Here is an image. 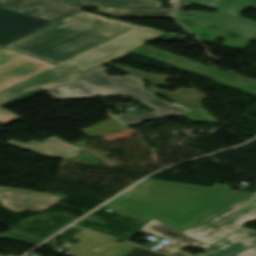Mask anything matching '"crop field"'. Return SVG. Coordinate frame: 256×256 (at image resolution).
Segmentation results:
<instances>
[{
  "label": "crop field",
  "instance_id": "1",
  "mask_svg": "<svg viewBox=\"0 0 256 256\" xmlns=\"http://www.w3.org/2000/svg\"><path fill=\"white\" fill-rule=\"evenodd\" d=\"M154 181V184L141 186L148 189L142 195L128 192L105 206L145 221L154 217L181 232L252 195H237L229 191L232 188L219 184L207 188Z\"/></svg>",
  "mask_w": 256,
  "mask_h": 256
},
{
  "label": "crop field",
  "instance_id": "17",
  "mask_svg": "<svg viewBox=\"0 0 256 256\" xmlns=\"http://www.w3.org/2000/svg\"><path fill=\"white\" fill-rule=\"evenodd\" d=\"M121 129H125V128L119 123H117L115 120L111 119V120L99 122L94 126L80 129V131H82L88 137L92 138V137L107 134V133L114 132Z\"/></svg>",
  "mask_w": 256,
  "mask_h": 256
},
{
  "label": "crop field",
  "instance_id": "5",
  "mask_svg": "<svg viewBox=\"0 0 256 256\" xmlns=\"http://www.w3.org/2000/svg\"><path fill=\"white\" fill-rule=\"evenodd\" d=\"M192 4L219 11L215 14L177 11L175 17L191 18L206 26L218 25L250 37L256 34V22L239 17L247 6L256 8V0H192Z\"/></svg>",
  "mask_w": 256,
  "mask_h": 256
},
{
  "label": "crop field",
  "instance_id": "3",
  "mask_svg": "<svg viewBox=\"0 0 256 256\" xmlns=\"http://www.w3.org/2000/svg\"><path fill=\"white\" fill-rule=\"evenodd\" d=\"M139 27L121 22L96 24L79 32L47 27L5 47L57 65Z\"/></svg>",
  "mask_w": 256,
  "mask_h": 256
},
{
  "label": "crop field",
  "instance_id": "15",
  "mask_svg": "<svg viewBox=\"0 0 256 256\" xmlns=\"http://www.w3.org/2000/svg\"><path fill=\"white\" fill-rule=\"evenodd\" d=\"M254 244H256V231L244 229L205 249L207 254L193 256H233Z\"/></svg>",
  "mask_w": 256,
  "mask_h": 256
},
{
  "label": "crop field",
  "instance_id": "24",
  "mask_svg": "<svg viewBox=\"0 0 256 256\" xmlns=\"http://www.w3.org/2000/svg\"><path fill=\"white\" fill-rule=\"evenodd\" d=\"M252 41H256V36L252 39Z\"/></svg>",
  "mask_w": 256,
  "mask_h": 256
},
{
  "label": "crop field",
  "instance_id": "16",
  "mask_svg": "<svg viewBox=\"0 0 256 256\" xmlns=\"http://www.w3.org/2000/svg\"><path fill=\"white\" fill-rule=\"evenodd\" d=\"M115 22H117V21H115V20L109 21V20H105L98 16L79 12L69 18H66V19L50 26V27H52L56 30H58L62 27H65V28L79 31L81 29H84V28L94 25L96 23H115Z\"/></svg>",
  "mask_w": 256,
  "mask_h": 256
},
{
  "label": "crop field",
  "instance_id": "25",
  "mask_svg": "<svg viewBox=\"0 0 256 256\" xmlns=\"http://www.w3.org/2000/svg\"><path fill=\"white\" fill-rule=\"evenodd\" d=\"M254 248H256V247H254Z\"/></svg>",
  "mask_w": 256,
  "mask_h": 256
},
{
  "label": "crop field",
  "instance_id": "9",
  "mask_svg": "<svg viewBox=\"0 0 256 256\" xmlns=\"http://www.w3.org/2000/svg\"><path fill=\"white\" fill-rule=\"evenodd\" d=\"M0 7L25 13L52 22H58L80 11L79 5L64 0H0ZM40 9L38 15L31 8Z\"/></svg>",
  "mask_w": 256,
  "mask_h": 256
},
{
  "label": "crop field",
  "instance_id": "8",
  "mask_svg": "<svg viewBox=\"0 0 256 256\" xmlns=\"http://www.w3.org/2000/svg\"><path fill=\"white\" fill-rule=\"evenodd\" d=\"M160 0H81L82 6H98L111 16L171 17L174 9L160 8Z\"/></svg>",
  "mask_w": 256,
  "mask_h": 256
},
{
  "label": "crop field",
  "instance_id": "6",
  "mask_svg": "<svg viewBox=\"0 0 256 256\" xmlns=\"http://www.w3.org/2000/svg\"><path fill=\"white\" fill-rule=\"evenodd\" d=\"M165 33L141 29L84 55L74 58L60 66L86 73L111 61L131 53V48L157 38Z\"/></svg>",
  "mask_w": 256,
  "mask_h": 256
},
{
  "label": "crop field",
  "instance_id": "21",
  "mask_svg": "<svg viewBox=\"0 0 256 256\" xmlns=\"http://www.w3.org/2000/svg\"><path fill=\"white\" fill-rule=\"evenodd\" d=\"M149 183H154V182H153V181H150V180H146V181H144V182L138 184L137 186H135V189H134V190H128V191L141 194V193H143V192L146 191V190H145V189H141V188H139V187H140L141 185H148ZM128 191H126V192H128ZM126 192H125V193H126ZM125 193H123L122 195H124Z\"/></svg>",
  "mask_w": 256,
  "mask_h": 256
},
{
  "label": "crop field",
  "instance_id": "13",
  "mask_svg": "<svg viewBox=\"0 0 256 256\" xmlns=\"http://www.w3.org/2000/svg\"><path fill=\"white\" fill-rule=\"evenodd\" d=\"M7 145L48 158L75 157L76 154L81 150V147L71 145L57 137H52L43 141L42 143L31 141L29 144H24L16 140H10L7 142Z\"/></svg>",
  "mask_w": 256,
  "mask_h": 256
},
{
  "label": "crop field",
  "instance_id": "22",
  "mask_svg": "<svg viewBox=\"0 0 256 256\" xmlns=\"http://www.w3.org/2000/svg\"><path fill=\"white\" fill-rule=\"evenodd\" d=\"M238 256H256V250L252 248Z\"/></svg>",
  "mask_w": 256,
  "mask_h": 256
},
{
  "label": "crop field",
  "instance_id": "18",
  "mask_svg": "<svg viewBox=\"0 0 256 256\" xmlns=\"http://www.w3.org/2000/svg\"><path fill=\"white\" fill-rule=\"evenodd\" d=\"M0 238H8V239L25 242L33 245H37L44 240V239H40V238L28 236V235L16 233L13 231L0 234Z\"/></svg>",
  "mask_w": 256,
  "mask_h": 256
},
{
  "label": "crop field",
  "instance_id": "4",
  "mask_svg": "<svg viewBox=\"0 0 256 256\" xmlns=\"http://www.w3.org/2000/svg\"><path fill=\"white\" fill-rule=\"evenodd\" d=\"M255 219L256 193L182 233L212 245L216 241L244 228L242 223Z\"/></svg>",
  "mask_w": 256,
  "mask_h": 256
},
{
  "label": "crop field",
  "instance_id": "19",
  "mask_svg": "<svg viewBox=\"0 0 256 256\" xmlns=\"http://www.w3.org/2000/svg\"><path fill=\"white\" fill-rule=\"evenodd\" d=\"M19 119L21 118L0 107V124L1 125L4 126L6 124H9Z\"/></svg>",
  "mask_w": 256,
  "mask_h": 256
},
{
  "label": "crop field",
  "instance_id": "23",
  "mask_svg": "<svg viewBox=\"0 0 256 256\" xmlns=\"http://www.w3.org/2000/svg\"><path fill=\"white\" fill-rule=\"evenodd\" d=\"M70 1H73V2H76V3L78 2V0H70Z\"/></svg>",
  "mask_w": 256,
  "mask_h": 256
},
{
  "label": "crop field",
  "instance_id": "12",
  "mask_svg": "<svg viewBox=\"0 0 256 256\" xmlns=\"http://www.w3.org/2000/svg\"><path fill=\"white\" fill-rule=\"evenodd\" d=\"M52 193H39L29 190L0 187V201L3 207L13 211H42L64 198L52 197Z\"/></svg>",
  "mask_w": 256,
  "mask_h": 256
},
{
  "label": "crop field",
  "instance_id": "20",
  "mask_svg": "<svg viewBox=\"0 0 256 256\" xmlns=\"http://www.w3.org/2000/svg\"><path fill=\"white\" fill-rule=\"evenodd\" d=\"M125 256H166V255L136 247Z\"/></svg>",
  "mask_w": 256,
  "mask_h": 256
},
{
  "label": "crop field",
  "instance_id": "14",
  "mask_svg": "<svg viewBox=\"0 0 256 256\" xmlns=\"http://www.w3.org/2000/svg\"><path fill=\"white\" fill-rule=\"evenodd\" d=\"M141 231L162 237L171 242L169 246L173 247L171 250L167 252V254L175 255V256H192L187 253H183L180 251L181 248L186 247L188 245L207 248L210 245L202 243L200 241L189 238L180 232L156 221L151 220L146 226H144Z\"/></svg>",
  "mask_w": 256,
  "mask_h": 256
},
{
  "label": "crop field",
  "instance_id": "11",
  "mask_svg": "<svg viewBox=\"0 0 256 256\" xmlns=\"http://www.w3.org/2000/svg\"><path fill=\"white\" fill-rule=\"evenodd\" d=\"M80 75L82 74L57 66L3 92H0V105L39 87L48 90Z\"/></svg>",
  "mask_w": 256,
  "mask_h": 256
},
{
  "label": "crop field",
  "instance_id": "7",
  "mask_svg": "<svg viewBox=\"0 0 256 256\" xmlns=\"http://www.w3.org/2000/svg\"><path fill=\"white\" fill-rule=\"evenodd\" d=\"M53 67L41 60L0 47V91Z\"/></svg>",
  "mask_w": 256,
  "mask_h": 256
},
{
  "label": "crop field",
  "instance_id": "2",
  "mask_svg": "<svg viewBox=\"0 0 256 256\" xmlns=\"http://www.w3.org/2000/svg\"><path fill=\"white\" fill-rule=\"evenodd\" d=\"M108 69L100 67L78 78L48 90L54 99L93 98L96 96L130 97L149 110L141 109L138 113L120 114L116 117L126 127L154 120L165 116H173L192 111L183 106L167 103L155 97L144 88L143 81L130 75L111 78L105 75Z\"/></svg>",
  "mask_w": 256,
  "mask_h": 256
},
{
  "label": "crop field",
  "instance_id": "10",
  "mask_svg": "<svg viewBox=\"0 0 256 256\" xmlns=\"http://www.w3.org/2000/svg\"><path fill=\"white\" fill-rule=\"evenodd\" d=\"M51 24L53 23L0 8V45L5 46Z\"/></svg>",
  "mask_w": 256,
  "mask_h": 256
}]
</instances>
